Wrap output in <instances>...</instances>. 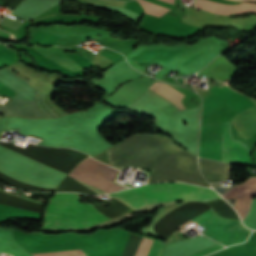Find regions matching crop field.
Returning a JSON list of instances; mask_svg holds the SVG:
<instances>
[{
  "mask_svg": "<svg viewBox=\"0 0 256 256\" xmlns=\"http://www.w3.org/2000/svg\"><path fill=\"white\" fill-rule=\"evenodd\" d=\"M195 6L198 8L213 11L219 14H236L241 12H256V4L241 3L237 5L219 4L208 0H196Z\"/></svg>",
  "mask_w": 256,
  "mask_h": 256,
  "instance_id": "8",
  "label": "crop field"
},
{
  "mask_svg": "<svg viewBox=\"0 0 256 256\" xmlns=\"http://www.w3.org/2000/svg\"><path fill=\"white\" fill-rule=\"evenodd\" d=\"M249 188H256V177L249 178L247 181L243 182L240 186L222 194L226 199L235 198ZM256 197V189H250L235 199V209L240 214L242 220L246 216L251 200Z\"/></svg>",
  "mask_w": 256,
  "mask_h": 256,
  "instance_id": "6",
  "label": "crop field"
},
{
  "mask_svg": "<svg viewBox=\"0 0 256 256\" xmlns=\"http://www.w3.org/2000/svg\"><path fill=\"white\" fill-rule=\"evenodd\" d=\"M139 1L144 6L146 13L151 14V15L160 17L161 15H163L165 12H167L169 10V8L157 6L155 4L147 2L145 0H139Z\"/></svg>",
  "mask_w": 256,
  "mask_h": 256,
  "instance_id": "12",
  "label": "crop field"
},
{
  "mask_svg": "<svg viewBox=\"0 0 256 256\" xmlns=\"http://www.w3.org/2000/svg\"><path fill=\"white\" fill-rule=\"evenodd\" d=\"M164 243L153 241L148 256H162L163 250H164Z\"/></svg>",
  "mask_w": 256,
  "mask_h": 256,
  "instance_id": "15",
  "label": "crop field"
},
{
  "mask_svg": "<svg viewBox=\"0 0 256 256\" xmlns=\"http://www.w3.org/2000/svg\"><path fill=\"white\" fill-rule=\"evenodd\" d=\"M92 157L115 167L111 148L105 150L104 152L100 153L99 155L92 156Z\"/></svg>",
  "mask_w": 256,
  "mask_h": 256,
  "instance_id": "14",
  "label": "crop field"
},
{
  "mask_svg": "<svg viewBox=\"0 0 256 256\" xmlns=\"http://www.w3.org/2000/svg\"><path fill=\"white\" fill-rule=\"evenodd\" d=\"M163 1H166V2H169V3H172V4H173V1H174V0H163Z\"/></svg>",
  "mask_w": 256,
  "mask_h": 256,
  "instance_id": "19",
  "label": "crop field"
},
{
  "mask_svg": "<svg viewBox=\"0 0 256 256\" xmlns=\"http://www.w3.org/2000/svg\"><path fill=\"white\" fill-rule=\"evenodd\" d=\"M201 171L208 182L227 179L229 164L213 162L199 158Z\"/></svg>",
  "mask_w": 256,
  "mask_h": 256,
  "instance_id": "9",
  "label": "crop field"
},
{
  "mask_svg": "<svg viewBox=\"0 0 256 256\" xmlns=\"http://www.w3.org/2000/svg\"><path fill=\"white\" fill-rule=\"evenodd\" d=\"M34 256H85L80 249L34 254Z\"/></svg>",
  "mask_w": 256,
  "mask_h": 256,
  "instance_id": "13",
  "label": "crop field"
},
{
  "mask_svg": "<svg viewBox=\"0 0 256 256\" xmlns=\"http://www.w3.org/2000/svg\"><path fill=\"white\" fill-rule=\"evenodd\" d=\"M0 57L11 60L13 62H15L18 59L16 54L10 51L1 50V49H0Z\"/></svg>",
  "mask_w": 256,
  "mask_h": 256,
  "instance_id": "16",
  "label": "crop field"
},
{
  "mask_svg": "<svg viewBox=\"0 0 256 256\" xmlns=\"http://www.w3.org/2000/svg\"><path fill=\"white\" fill-rule=\"evenodd\" d=\"M235 1H251V2H256V0H235Z\"/></svg>",
  "mask_w": 256,
  "mask_h": 256,
  "instance_id": "18",
  "label": "crop field"
},
{
  "mask_svg": "<svg viewBox=\"0 0 256 256\" xmlns=\"http://www.w3.org/2000/svg\"><path fill=\"white\" fill-rule=\"evenodd\" d=\"M39 53L43 56L53 60L58 65L63 68L75 71L81 69L76 63L70 60L67 56H65L62 52H60L56 47H50L47 49H41L37 46H33Z\"/></svg>",
  "mask_w": 256,
  "mask_h": 256,
  "instance_id": "10",
  "label": "crop field"
},
{
  "mask_svg": "<svg viewBox=\"0 0 256 256\" xmlns=\"http://www.w3.org/2000/svg\"><path fill=\"white\" fill-rule=\"evenodd\" d=\"M112 149L118 169L128 165L152 169L148 182L183 181L210 187L198 171L196 157L162 137L135 135Z\"/></svg>",
  "mask_w": 256,
  "mask_h": 256,
  "instance_id": "1",
  "label": "crop field"
},
{
  "mask_svg": "<svg viewBox=\"0 0 256 256\" xmlns=\"http://www.w3.org/2000/svg\"><path fill=\"white\" fill-rule=\"evenodd\" d=\"M222 247H224V246L218 244V245H216V246H213V247H211V248H208V249H206V250H203V251H201V252H199V253H196V254H194V255H191V256H204V255H207V254H209V253H211V252H214V251H216V250H218V249H220V248H222Z\"/></svg>",
  "mask_w": 256,
  "mask_h": 256,
  "instance_id": "17",
  "label": "crop field"
},
{
  "mask_svg": "<svg viewBox=\"0 0 256 256\" xmlns=\"http://www.w3.org/2000/svg\"><path fill=\"white\" fill-rule=\"evenodd\" d=\"M109 195L135 209L149 203L174 200L206 201L222 199L211 189L184 183L147 184L137 188L110 193Z\"/></svg>",
  "mask_w": 256,
  "mask_h": 256,
  "instance_id": "2",
  "label": "crop field"
},
{
  "mask_svg": "<svg viewBox=\"0 0 256 256\" xmlns=\"http://www.w3.org/2000/svg\"><path fill=\"white\" fill-rule=\"evenodd\" d=\"M79 201L78 194L55 193L46 205L41 228L80 229L101 221L93 204H81Z\"/></svg>",
  "mask_w": 256,
  "mask_h": 256,
  "instance_id": "3",
  "label": "crop field"
},
{
  "mask_svg": "<svg viewBox=\"0 0 256 256\" xmlns=\"http://www.w3.org/2000/svg\"><path fill=\"white\" fill-rule=\"evenodd\" d=\"M221 161L229 163L240 162L253 165L251 155L248 150L242 144L231 141L227 130V123L223 124Z\"/></svg>",
  "mask_w": 256,
  "mask_h": 256,
  "instance_id": "7",
  "label": "crop field"
},
{
  "mask_svg": "<svg viewBox=\"0 0 256 256\" xmlns=\"http://www.w3.org/2000/svg\"><path fill=\"white\" fill-rule=\"evenodd\" d=\"M119 174L120 171L88 157L69 175L102 193H109L130 187L117 181Z\"/></svg>",
  "mask_w": 256,
  "mask_h": 256,
  "instance_id": "5",
  "label": "crop field"
},
{
  "mask_svg": "<svg viewBox=\"0 0 256 256\" xmlns=\"http://www.w3.org/2000/svg\"><path fill=\"white\" fill-rule=\"evenodd\" d=\"M185 203L186 202L179 203L174 206L162 209V211L157 216H155L154 219L151 221L149 225V232L153 235L160 237L156 232L153 231L154 224L158 222L161 218H163L165 215H167L169 212L175 210L176 208L182 206ZM214 215L216 214L211 208L206 212L202 213L201 215L197 216L196 218L184 223L179 228H183L190 224H200ZM201 225L206 227V231H204L203 233L204 235L213 238L225 244L226 246L234 243L244 242L251 232V230L246 229L242 225L241 221L227 220L217 215L205 221Z\"/></svg>",
  "mask_w": 256,
  "mask_h": 256,
  "instance_id": "4",
  "label": "crop field"
},
{
  "mask_svg": "<svg viewBox=\"0 0 256 256\" xmlns=\"http://www.w3.org/2000/svg\"><path fill=\"white\" fill-rule=\"evenodd\" d=\"M149 88L167 98L174 105H176L179 108V110L184 109L183 105L180 102L184 95H182L176 89L160 82H155Z\"/></svg>",
  "mask_w": 256,
  "mask_h": 256,
  "instance_id": "11",
  "label": "crop field"
}]
</instances>
